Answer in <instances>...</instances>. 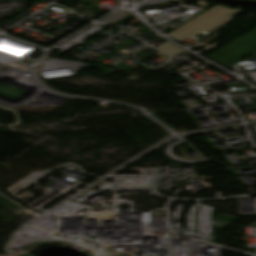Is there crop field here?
Returning <instances> with one entry per match:
<instances>
[{
  "label": "crop field",
  "instance_id": "obj_1",
  "mask_svg": "<svg viewBox=\"0 0 256 256\" xmlns=\"http://www.w3.org/2000/svg\"><path fill=\"white\" fill-rule=\"evenodd\" d=\"M237 11L239 10H231L221 6H216L194 18L169 35L181 41L199 32H212L231 20L230 16Z\"/></svg>",
  "mask_w": 256,
  "mask_h": 256
},
{
  "label": "crop field",
  "instance_id": "obj_2",
  "mask_svg": "<svg viewBox=\"0 0 256 256\" xmlns=\"http://www.w3.org/2000/svg\"><path fill=\"white\" fill-rule=\"evenodd\" d=\"M242 37L250 40L251 42L230 54L229 56L225 57L218 63L228 67L256 50V28L243 35Z\"/></svg>",
  "mask_w": 256,
  "mask_h": 256
},
{
  "label": "crop field",
  "instance_id": "obj_3",
  "mask_svg": "<svg viewBox=\"0 0 256 256\" xmlns=\"http://www.w3.org/2000/svg\"><path fill=\"white\" fill-rule=\"evenodd\" d=\"M248 42L240 37L207 57L217 62Z\"/></svg>",
  "mask_w": 256,
  "mask_h": 256
},
{
  "label": "crop field",
  "instance_id": "obj_4",
  "mask_svg": "<svg viewBox=\"0 0 256 256\" xmlns=\"http://www.w3.org/2000/svg\"><path fill=\"white\" fill-rule=\"evenodd\" d=\"M159 49H161L162 51L168 53L169 55L173 56L175 54H177L178 52H180L181 50L175 48L174 46L168 44V43H163L162 45H160L159 47H157Z\"/></svg>",
  "mask_w": 256,
  "mask_h": 256
}]
</instances>
